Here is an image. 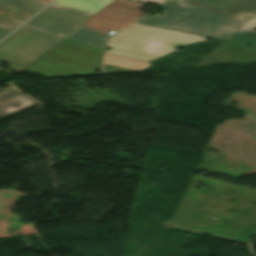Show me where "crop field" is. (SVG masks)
Segmentation results:
<instances>
[{
	"instance_id": "1",
	"label": "crop field",
	"mask_w": 256,
	"mask_h": 256,
	"mask_svg": "<svg viewBox=\"0 0 256 256\" xmlns=\"http://www.w3.org/2000/svg\"><path fill=\"white\" fill-rule=\"evenodd\" d=\"M138 1L161 5L165 14L146 15L113 36L106 46L111 49L105 51L101 73L143 70L149 65L145 61L207 37L224 40L245 24L174 0Z\"/></svg>"
},
{
	"instance_id": "2",
	"label": "crop field",
	"mask_w": 256,
	"mask_h": 256,
	"mask_svg": "<svg viewBox=\"0 0 256 256\" xmlns=\"http://www.w3.org/2000/svg\"><path fill=\"white\" fill-rule=\"evenodd\" d=\"M143 3L112 0L79 28L60 41L25 70L46 78L96 75L106 33L118 31L138 19Z\"/></svg>"
},
{
	"instance_id": "3",
	"label": "crop field",
	"mask_w": 256,
	"mask_h": 256,
	"mask_svg": "<svg viewBox=\"0 0 256 256\" xmlns=\"http://www.w3.org/2000/svg\"><path fill=\"white\" fill-rule=\"evenodd\" d=\"M60 40L21 27L0 44V60L21 71Z\"/></svg>"
},
{
	"instance_id": "4",
	"label": "crop field",
	"mask_w": 256,
	"mask_h": 256,
	"mask_svg": "<svg viewBox=\"0 0 256 256\" xmlns=\"http://www.w3.org/2000/svg\"><path fill=\"white\" fill-rule=\"evenodd\" d=\"M93 14L52 4L24 26L65 38Z\"/></svg>"
},
{
	"instance_id": "5",
	"label": "crop field",
	"mask_w": 256,
	"mask_h": 256,
	"mask_svg": "<svg viewBox=\"0 0 256 256\" xmlns=\"http://www.w3.org/2000/svg\"><path fill=\"white\" fill-rule=\"evenodd\" d=\"M201 9L247 22L256 15V0H178Z\"/></svg>"
},
{
	"instance_id": "8",
	"label": "crop field",
	"mask_w": 256,
	"mask_h": 256,
	"mask_svg": "<svg viewBox=\"0 0 256 256\" xmlns=\"http://www.w3.org/2000/svg\"><path fill=\"white\" fill-rule=\"evenodd\" d=\"M110 1L111 0H57L54 3L82 10L97 12Z\"/></svg>"
},
{
	"instance_id": "10",
	"label": "crop field",
	"mask_w": 256,
	"mask_h": 256,
	"mask_svg": "<svg viewBox=\"0 0 256 256\" xmlns=\"http://www.w3.org/2000/svg\"><path fill=\"white\" fill-rule=\"evenodd\" d=\"M18 25L0 20V40L4 38L8 33L15 29Z\"/></svg>"
},
{
	"instance_id": "7",
	"label": "crop field",
	"mask_w": 256,
	"mask_h": 256,
	"mask_svg": "<svg viewBox=\"0 0 256 256\" xmlns=\"http://www.w3.org/2000/svg\"><path fill=\"white\" fill-rule=\"evenodd\" d=\"M37 104L36 101L9 88L7 92L0 95V120Z\"/></svg>"
},
{
	"instance_id": "12",
	"label": "crop field",
	"mask_w": 256,
	"mask_h": 256,
	"mask_svg": "<svg viewBox=\"0 0 256 256\" xmlns=\"http://www.w3.org/2000/svg\"><path fill=\"white\" fill-rule=\"evenodd\" d=\"M42 1H47V2H50L51 0H42Z\"/></svg>"
},
{
	"instance_id": "9",
	"label": "crop field",
	"mask_w": 256,
	"mask_h": 256,
	"mask_svg": "<svg viewBox=\"0 0 256 256\" xmlns=\"http://www.w3.org/2000/svg\"><path fill=\"white\" fill-rule=\"evenodd\" d=\"M256 28V16L241 27L230 39L256 44V32H251Z\"/></svg>"
},
{
	"instance_id": "6",
	"label": "crop field",
	"mask_w": 256,
	"mask_h": 256,
	"mask_svg": "<svg viewBox=\"0 0 256 256\" xmlns=\"http://www.w3.org/2000/svg\"><path fill=\"white\" fill-rule=\"evenodd\" d=\"M46 4L37 0H0V18L21 25Z\"/></svg>"
},
{
	"instance_id": "11",
	"label": "crop field",
	"mask_w": 256,
	"mask_h": 256,
	"mask_svg": "<svg viewBox=\"0 0 256 256\" xmlns=\"http://www.w3.org/2000/svg\"><path fill=\"white\" fill-rule=\"evenodd\" d=\"M6 89H7V88H4V89H0V93H1V92H3V91H5Z\"/></svg>"
}]
</instances>
